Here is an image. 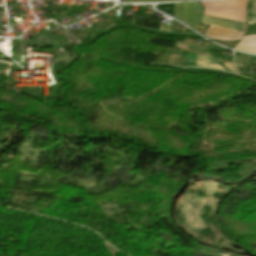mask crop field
Masks as SVG:
<instances>
[{
    "instance_id": "5a996713",
    "label": "crop field",
    "mask_w": 256,
    "mask_h": 256,
    "mask_svg": "<svg viewBox=\"0 0 256 256\" xmlns=\"http://www.w3.org/2000/svg\"><path fill=\"white\" fill-rule=\"evenodd\" d=\"M234 61L235 62H250V64H256V56L245 55V59L235 57Z\"/></svg>"
},
{
    "instance_id": "3316defc",
    "label": "crop field",
    "mask_w": 256,
    "mask_h": 256,
    "mask_svg": "<svg viewBox=\"0 0 256 256\" xmlns=\"http://www.w3.org/2000/svg\"><path fill=\"white\" fill-rule=\"evenodd\" d=\"M223 64H224V66H225V68L227 70H230V71H233V72H237L236 69L233 66V63H223Z\"/></svg>"
},
{
    "instance_id": "f4fd0767",
    "label": "crop field",
    "mask_w": 256,
    "mask_h": 256,
    "mask_svg": "<svg viewBox=\"0 0 256 256\" xmlns=\"http://www.w3.org/2000/svg\"><path fill=\"white\" fill-rule=\"evenodd\" d=\"M196 63L222 66L220 61H219V59L212 58V57H206V56H200V55H197ZM200 64H196V66H200V67H213V68L223 69V67L209 66V65H200Z\"/></svg>"
},
{
    "instance_id": "d8731c3e",
    "label": "crop field",
    "mask_w": 256,
    "mask_h": 256,
    "mask_svg": "<svg viewBox=\"0 0 256 256\" xmlns=\"http://www.w3.org/2000/svg\"><path fill=\"white\" fill-rule=\"evenodd\" d=\"M156 9L164 11L173 16V4L157 5Z\"/></svg>"
},
{
    "instance_id": "e52e79f7",
    "label": "crop field",
    "mask_w": 256,
    "mask_h": 256,
    "mask_svg": "<svg viewBox=\"0 0 256 256\" xmlns=\"http://www.w3.org/2000/svg\"><path fill=\"white\" fill-rule=\"evenodd\" d=\"M235 64L239 72L251 74L249 63H235Z\"/></svg>"
},
{
    "instance_id": "34b2d1b8",
    "label": "crop field",
    "mask_w": 256,
    "mask_h": 256,
    "mask_svg": "<svg viewBox=\"0 0 256 256\" xmlns=\"http://www.w3.org/2000/svg\"><path fill=\"white\" fill-rule=\"evenodd\" d=\"M203 7L199 2L174 4V16L199 29Z\"/></svg>"
},
{
    "instance_id": "28ad6ade",
    "label": "crop field",
    "mask_w": 256,
    "mask_h": 256,
    "mask_svg": "<svg viewBox=\"0 0 256 256\" xmlns=\"http://www.w3.org/2000/svg\"><path fill=\"white\" fill-rule=\"evenodd\" d=\"M131 2H148V1H177V0H128Z\"/></svg>"
},
{
    "instance_id": "dd49c442",
    "label": "crop field",
    "mask_w": 256,
    "mask_h": 256,
    "mask_svg": "<svg viewBox=\"0 0 256 256\" xmlns=\"http://www.w3.org/2000/svg\"><path fill=\"white\" fill-rule=\"evenodd\" d=\"M247 24L256 25V1L247 0Z\"/></svg>"
},
{
    "instance_id": "412701ff",
    "label": "crop field",
    "mask_w": 256,
    "mask_h": 256,
    "mask_svg": "<svg viewBox=\"0 0 256 256\" xmlns=\"http://www.w3.org/2000/svg\"><path fill=\"white\" fill-rule=\"evenodd\" d=\"M235 49L256 54V35L244 36Z\"/></svg>"
},
{
    "instance_id": "ac0d7876",
    "label": "crop field",
    "mask_w": 256,
    "mask_h": 256,
    "mask_svg": "<svg viewBox=\"0 0 256 256\" xmlns=\"http://www.w3.org/2000/svg\"><path fill=\"white\" fill-rule=\"evenodd\" d=\"M201 23L210 25L208 31L205 33V36L219 40L241 39V36L247 26L237 22L205 16H203Z\"/></svg>"
},
{
    "instance_id": "8a807250",
    "label": "crop field",
    "mask_w": 256,
    "mask_h": 256,
    "mask_svg": "<svg viewBox=\"0 0 256 256\" xmlns=\"http://www.w3.org/2000/svg\"><path fill=\"white\" fill-rule=\"evenodd\" d=\"M206 16L218 17L237 22L246 21V0L201 2Z\"/></svg>"
}]
</instances>
